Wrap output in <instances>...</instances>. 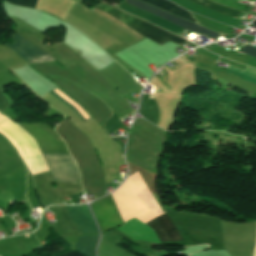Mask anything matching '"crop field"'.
Listing matches in <instances>:
<instances>
[{"label": "crop field", "mask_w": 256, "mask_h": 256, "mask_svg": "<svg viewBox=\"0 0 256 256\" xmlns=\"http://www.w3.org/2000/svg\"><path fill=\"white\" fill-rule=\"evenodd\" d=\"M226 72L231 73V74L238 75V76L241 77V79H243V80H245V81H248V82H250V83L256 85V79H253V78H251V77L245 76V75H243V74L237 73V72L232 71V70H229V69H227Z\"/></svg>", "instance_id": "15"}, {"label": "crop field", "mask_w": 256, "mask_h": 256, "mask_svg": "<svg viewBox=\"0 0 256 256\" xmlns=\"http://www.w3.org/2000/svg\"><path fill=\"white\" fill-rule=\"evenodd\" d=\"M190 1H192L196 4H199L201 6H204L206 8L212 9L214 11H217L219 13L237 18V19H239V17L243 13L241 11H237V10H234V9H231V8H227V7H224L220 4L212 3V2L207 1V0H190Z\"/></svg>", "instance_id": "11"}, {"label": "crop field", "mask_w": 256, "mask_h": 256, "mask_svg": "<svg viewBox=\"0 0 256 256\" xmlns=\"http://www.w3.org/2000/svg\"><path fill=\"white\" fill-rule=\"evenodd\" d=\"M125 2H128V3L138 7L140 9H143V10H146L148 12L154 13V14H156V15H158V16H160V17H162V18H164V19H166L168 21H171V22H173V23L183 27V28H186V29H189V30H192V31H196V32H199V33H202V34H205V35H207V36H209V37H211V38H213L215 40L218 37V34H216L214 32H211V31H209V30H207V29H205L203 27H199V26H197L195 24L187 22V21H185L183 19H180V18H178L176 16H173L171 14H168V13H166L164 11L156 9V8H154L152 6H149V5L145 4V3H142L140 1H137V0H125Z\"/></svg>", "instance_id": "7"}, {"label": "crop field", "mask_w": 256, "mask_h": 256, "mask_svg": "<svg viewBox=\"0 0 256 256\" xmlns=\"http://www.w3.org/2000/svg\"><path fill=\"white\" fill-rule=\"evenodd\" d=\"M145 224L155 232L160 242L187 240L164 214Z\"/></svg>", "instance_id": "6"}, {"label": "crop field", "mask_w": 256, "mask_h": 256, "mask_svg": "<svg viewBox=\"0 0 256 256\" xmlns=\"http://www.w3.org/2000/svg\"><path fill=\"white\" fill-rule=\"evenodd\" d=\"M252 25H255V26H256V20L252 23Z\"/></svg>", "instance_id": "19"}, {"label": "crop field", "mask_w": 256, "mask_h": 256, "mask_svg": "<svg viewBox=\"0 0 256 256\" xmlns=\"http://www.w3.org/2000/svg\"><path fill=\"white\" fill-rule=\"evenodd\" d=\"M0 132L18 149L32 175L50 169L54 180L78 184L80 175L70 154H42L48 169L34 139L16 123L9 119L4 121L0 124Z\"/></svg>", "instance_id": "1"}, {"label": "crop field", "mask_w": 256, "mask_h": 256, "mask_svg": "<svg viewBox=\"0 0 256 256\" xmlns=\"http://www.w3.org/2000/svg\"><path fill=\"white\" fill-rule=\"evenodd\" d=\"M7 1L10 3L24 5V6L33 7V8L36 7L38 2V0H7Z\"/></svg>", "instance_id": "14"}, {"label": "crop field", "mask_w": 256, "mask_h": 256, "mask_svg": "<svg viewBox=\"0 0 256 256\" xmlns=\"http://www.w3.org/2000/svg\"><path fill=\"white\" fill-rule=\"evenodd\" d=\"M12 38L15 41V44H6V46L19 54L28 63L54 60L46 52L33 45L18 34L15 33Z\"/></svg>", "instance_id": "4"}, {"label": "crop field", "mask_w": 256, "mask_h": 256, "mask_svg": "<svg viewBox=\"0 0 256 256\" xmlns=\"http://www.w3.org/2000/svg\"><path fill=\"white\" fill-rule=\"evenodd\" d=\"M238 52H242V53L256 57V48L250 47L248 45L240 49Z\"/></svg>", "instance_id": "16"}, {"label": "crop field", "mask_w": 256, "mask_h": 256, "mask_svg": "<svg viewBox=\"0 0 256 256\" xmlns=\"http://www.w3.org/2000/svg\"><path fill=\"white\" fill-rule=\"evenodd\" d=\"M57 88H58V87H57ZM57 88H55V89H57ZM55 89H54V90H55ZM58 89H60V88H58ZM58 89L55 91L58 95H60L64 100H66L68 103H70V104L81 114V116H82L84 119L88 118L87 116H89V114L84 110V108H83L81 105H79L77 102H75L73 99H71V100H73L75 103H77V104L82 108V110L85 112V114H86L87 116L84 114V112L81 110V108H80L77 104H75L73 101H71V100L69 99V97L66 96L67 94H66L63 90L60 89V90H61L62 92H64L66 95L63 94V93H62L61 91H59ZM54 90H53V91H54ZM53 91H51V92H53ZM55 92H53V93H54L55 95H57ZM58 95H57V96H58ZM58 97H59V96H58ZM61 97H59V98H61ZM62 98H61V99H62ZM63 99H62V100H63ZM64 100H63V101H64ZM66 101H64V102L67 103ZM68 103H67V104H68ZM70 104H68V105H69L71 108H73ZM74 108H73V109H74ZM75 109H74V110H75ZM76 110H75V111H76ZM77 111H76V113L79 115V113H78ZM79 116H80V115H79ZM81 116H80V117H81ZM82 117H81V119H82L84 122L87 121V120H89V119H91L90 116H89L90 118H88V119H86V120H84Z\"/></svg>", "instance_id": "12"}, {"label": "crop field", "mask_w": 256, "mask_h": 256, "mask_svg": "<svg viewBox=\"0 0 256 256\" xmlns=\"http://www.w3.org/2000/svg\"><path fill=\"white\" fill-rule=\"evenodd\" d=\"M94 8L117 18L130 29L138 32L139 34L145 36L146 38L152 40L160 46L169 41L176 43L178 45L189 43L185 39L178 38L137 18L129 16L115 8L106 5L103 2L99 3Z\"/></svg>", "instance_id": "2"}, {"label": "crop field", "mask_w": 256, "mask_h": 256, "mask_svg": "<svg viewBox=\"0 0 256 256\" xmlns=\"http://www.w3.org/2000/svg\"><path fill=\"white\" fill-rule=\"evenodd\" d=\"M116 7L120 8L121 10H123V11H125V12H127V13H130V14H133V15H136V16H139V17H141V18H143V19H145V20H147V21H149V22H151V23H153V24H155V25H157V26H159V27L165 29V30H168V31H170V32H172V33H174V34H176V35L179 34V32H177V31H175V30H173V29H171V28H169V27H167V26H165V25H163V24H160V23H158V22H156V21H154V20H152V19H150V18H148V17H146V16H144V15H142V14H139V13H136V12H134V11L128 10V9H126V8L120 6V5H118V6H116Z\"/></svg>", "instance_id": "13"}, {"label": "crop field", "mask_w": 256, "mask_h": 256, "mask_svg": "<svg viewBox=\"0 0 256 256\" xmlns=\"http://www.w3.org/2000/svg\"><path fill=\"white\" fill-rule=\"evenodd\" d=\"M36 141L42 153H68L64 142H55L46 131L30 124H20Z\"/></svg>", "instance_id": "5"}, {"label": "crop field", "mask_w": 256, "mask_h": 256, "mask_svg": "<svg viewBox=\"0 0 256 256\" xmlns=\"http://www.w3.org/2000/svg\"><path fill=\"white\" fill-rule=\"evenodd\" d=\"M91 207L102 232L124 224L111 195L91 203Z\"/></svg>", "instance_id": "3"}, {"label": "crop field", "mask_w": 256, "mask_h": 256, "mask_svg": "<svg viewBox=\"0 0 256 256\" xmlns=\"http://www.w3.org/2000/svg\"><path fill=\"white\" fill-rule=\"evenodd\" d=\"M99 236H84L80 237L74 250L86 255L95 256V245Z\"/></svg>", "instance_id": "10"}, {"label": "crop field", "mask_w": 256, "mask_h": 256, "mask_svg": "<svg viewBox=\"0 0 256 256\" xmlns=\"http://www.w3.org/2000/svg\"><path fill=\"white\" fill-rule=\"evenodd\" d=\"M57 256H83V255H81V254H79V253H77V252H75V251H70L69 253H67V254H64V255H57Z\"/></svg>", "instance_id": "18"}, {"label": "crop field", "mask_w": 256, "mask_h": 256, "mask_svg": "<svg viewBox=\"0 0 256 256\" xmlns=\"http://www.w3.org/2000/svg\"><path fill=\"white\" fill-rule=\"evenodd\" d=\"M0 166H1V164H0Z\"/></svg>", "instance_id": "20"}, {"label": "crop field", "mask_w": 256, "mask_h": 256, "mask_svg": "<svg viewBox=\"0 0 256 256\" xmlns=\"http://www.w3.org/2000/svg\"><path fill=\"white\" fill-rule=\"evenodd\" d=\"M142 1L147 2L151 5L156 6L162 10H165L171 14H174L178 17H181L183 19H186L190 22L197 24L195 19L193 18V16L188 11H186V10H184L166 0H142Z\"/></svg>", "instance_id": "9"}, {"label": "crop field", "mask_w": 256, "mask_h": 256, "mask_svg": "<svg viewBox=\"0 0 256 256\" xmlns=\"http://www.w3.org/2000/svg\"><path fill=\"white\" fill-rule=\"evenodd\" d=\"M0 91L2 90L0 89ZM8 107H10V104L7 102V100L4 98V96L0 92V111Z\"/></svg>", "instance_id": "17"}, {"label": "crop field", "mask_w": 256, "mask_h": 256, "mask_svg": "<svg viewBox=\"0 0 256 256\" xmlns=\"http://www.w3.org/2000/svg\"><path fill=\"white\" fill-rule=\"evenodd\" d=\"M79 234H98L87 205L65 206Z\"/></svg>", "instance_id": "8"}]
</instances>
